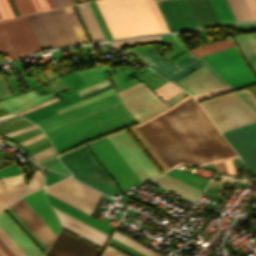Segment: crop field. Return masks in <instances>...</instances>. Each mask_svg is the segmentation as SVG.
<instances>
[{"label":"crop field","instance_id":"8a807250","mask_svg":"<svg viewBox=\"0 0 256 256\" xmlns=\"http://www.w3.org/2000/svg\"><path fill=\"white\" fill-rule=\"evenodd\" d=\"M137 127L169 169L236 156L189 96Z\"/></svg>","mask_w":256,"mask_h":256},{"label":"crop field","instance_id":"ac0d7876","mask_svg":"<svg viewBox=\"0 0 256 256\" xmlns=\"http://www.w3.org/2000/svg\"><path fill=\"white\" fill-rule=\"evenodd\" d=\"M136 123L116 94L37 123L61 153L85 141Z\"/></svg>","mask_w":256,"mask_h":256},{"label":"crop field","instance_id":"34b2d1b8","mask_svg":"<svg viewBox=\"0 0 256 256\" xmlns=\"http://www.w3.org/2000/svg\"><path fill=\"white\" fill-rule=\"evenodd\" d=\"M113 38L167 32L153 0L95 1Z\"/></svg>","mask_w":256,"mask_h":256},{"label":"crop field","instance_id":"412701ff","mask_svg":"<svg viewBox=\"0 0 256 256\" xmlns=\"http://www.w3.org/2000/svg\"><path fill=\"white\" fill-rule=\"evenodd\" d=\"M26 17L43 50L79 43L62 8Z\"/></svg>","mask_w":256,"mask_h":256},{"label":"crop field","instance_id":"f4fd0767","mask_svg":"<svg viewBox=\"0 0 256 256\" xmlns=\"http://www.w3.org/2000/svg\"><path fill=\"white\" fill-rule=\"evenodd\" d=\"M199 105L219 131L256 120V111L235 92Z\"/></svg>","mask_w":256,"mask_h":256},{"label":"crop field","instance_id":"dd49c442","mask_svg":"<svg viewBox=\"0 0 256 256\" xmlns=\"http://www.w3.org/2000/svg\"><path fill=\"white\" fill-rule=\"evenodd\" d=\"M59 158L74 175L73 177L109 195L119 192L118 188L107 176L85 146Z\"/></svg>","mask_w":256,"mask_h":256},{"label":"crop field","instance_id":"e52e79f7","mask_svg":"<svg viewBox=\"0 0 256 256\" xmlns=\"http://www.w3.org/2000/svg\"><path fill=\"white\" fill-rule=\"evenodd\" d=\"M42 50L26 17L0 21V53L11 59Z\"/></svg>","mask_w":256,"mask_h":256},{"label":"crop field","instance_id":"d8731c3e","mask_svg":"<svg viewBox=\"0 0 256 256\" xmlns=\"http://www.w3.org/2000/svg\"><path fill=\"white\" fill-rule=\"evenodd\" d=\"M200 58L206 60L235 90L256 83L236 47Z\"/></svg>","mask_w":256,"mask_h":256},{"label":"crop field","instance_id":"5a996713","mask_svg":"<svg viewBox=\"0 0 256 256\" xmlns=\"http://www.w3.org/2000/svg\"><path fill=\"white\" fill-rule=\"evenodd\" d=\"M87 146L122 190L140 183L107 137L87 144Z\"/></svg>","mask_w":256,"mask_h":256},{"label":"crop field","instance_id":"3316defc","mask_svg":"<svg viewBox=\"0 0 256 256\" xmlns=\"http://www.w3.org/2000/svg\"><path fill=\"white\" fill-rule=\"evenodd\" d=\"M118 95L139 123L169 108L141 82L118 92Z\"/></svg>","mask_w":256,"mask_h":256},{"label":"crop field","instance_id":"28ad6ade","mask_svg":"<svg viewBox=\"0 0 256 256\" xmlns=\"http://www.w3.org/2000/svg\"><path fill=\"white\" fill-rule=\"evenodd\" d=\"M45 192L90 215L102 195L71 178L45 188Z\"/></svg>","mask_w":256,"mask_h":256},{"label":"crop field","instance_id":"d1516ede","mask_svg":"<svg viewBox=\"0 0 256 256\" xmlns=\"http://www.w3.org/2000/svg\"><path fill=\"white\" fill-rule=\"evenodd\" d=\"M108 138L141 182L159 174L125 130Z\"/></svg>","mask_w":256,"mask_h":256},{"label":"crop field","instance_id":"22f410ed","mask_svg":"<svg viewBox=\"0 0 256 256\" xmlns=\"http://www.w3.org/2000/svg\"><path fill=\"white\" fill-rule=\"evenodd\" d=\"M222 134L256 176V122Z\"/></svg>","mask_w":256,"mask_h":256},{"label":"crop field","instance_id":"cbeb9de0","mask_svg":"<svg viewBox=\"0 0 256 256\" xmlns=\"http://www.w3.org/2000/svg\"><path fill=\"white\" fill-rule=\"evenodd\" d=\"M159 8L171 32L198 26L186 0L163 1Z\"/></svg>","mask_w":256,"mask_h":256},{"label":"crop field","instance_id":"5142ce71","mask_svg":"<svg viewBox=\"0 0 256 256\" xmlns=\"http://www.w3.org/2000/svg\"><path fill=\"white\" fill-rule=\"evenodd\" d=\"M174 84L190 92L192 96L227 86L206 63L191 75Z\"/></svg>","mask_w":256,"mask_h":256},{"label":"crop field","instance_id":"d9b57169","mask_svg":"<svg viewBox=\"0 0 256 256\" xmlns=\"http://www.w3.org/2000/svg\"><path fill=\"white\" fill-rule=\"evenodd\" d=\"M192 56L189 54L179 63L174 65V67L177 68L179 71H177L170 63H168L165 59L159 57L157 54L146 56L145 58L152 62L151 64H149L152 70L156 71L157 73L174 83L186 76L187 74L191 73L193 70H195L197 67L204 63L203 61L198 60L199 58L196 59L197 57L194 58L195 56Z\"/></svg>","mask_w":256,"mask_h":256},{"label":"crop field","instance_id":"733c2abd","mask_svg":"<svg viewBox=\"0 0 256 256\" xmlns=\"http://www.w3.org/2000/svg\"><path fill=\"white\" fill-rule=\"evenodd\" d=\"M100 250L60 231L47 256H98Z\"/></svg>","mask_w":256,"mask_h":256},{"label":"crop field","instance_id":"4a817a6b","mask_svg":"<svg viewBox=\"0 0 256 256\" xmlns=\"http://www.w3.org/2000/svg\"><path fill=\"white\" fill-rule=\"evenodd\" d=\"M61 80L65 85H67L73 89L84 85V83L80 80V78L76 74L63 77V78H61ZM59 98L61 99V101L53 103V104L43 107L41 109H38L36 111L27 113L25 115H22V117H25V118L37 123L47 117L56 115V112L54 110H56L58 108H61L66 105L84 100L74 90H71L69 92L59 95Z\"/></svg>","mask_w":256,"mask_h":256},{"label":"crop field","instance_id":"bc2a9ffb","mask_svg":"<svg viewBox=\"0 0 256 256\" xmlns=\"http://www.w3.org/2000/svg\"><path fill=\"white\" fill-rule=\"evenodd\" d=\"M53 210L59 218L63 228L103 247L108 236L90 228L89 226L71 218L70 216L54 208Z\"/></svg>","mask_w":256,"mask_h":256},{"label":"crop field","instance_id":"214f88e0","mask_svg":"<svg viewBox=\"0 0 256 256\" xmlns=\"http://www.w3.org/2000/svg\"><path fill=\"white\" fill-rule=\"evenodd\" d=\"M0 228L27 256H44L4 212L0 214Z\"/></svg>","mask_w":256,"mask_h":256},{"label":"crop field","instance_id":"92a150f3","mask_svg":"<svg viewBox=\"0 0 256 256\" xmlns=\"http://www.w3.org/2000/svg\"><path fill=\"white\" fill-rule=\"evenodd\" d=\"M28 205L39 215V217L51 228L57 235L60 225L53 210L48 205L43 189L23 197Z\"/></svg>","mask_w":256,"mask_h":256},{"label":"crop field","instance_id":"dafd665d","mask_svg":"<svg viewBox=\"0 0 256 256\" xmlns=\"http://www.w3.org/2000/svg\"><path fill=\"white\" fill-rule=\"evenodd\" d=\"M46 197H47V200L49 201L51 206H53V207L65 212V213L79 219L80 221H82V222H84V223H86V224H88V225H90V226L108 234V235H109L110 231L113 228V227H111V226H109V225H107V224H105V223H103V222H101V221H99V220H97V219H95V218H93V217H91V216H89V215H87V214H85V213H83V212H81V211H79V210H77V209H75V208H73V207H71V206L53 198V197H51V196H49V195H47V194H46Z\"/></svg>","mask_w":256,"mask_h":256},{"label":"crop field","instance_id":"00972430","mask_svg":"<svg viewBox=\"0 0 256 256\" xmlns=\"http://www.w3.org/2000/svg\"><path fill=\"white\" fill-rule=\"evenodd\" d=\"M52 97H54V94L52 93L45 96H37L33 91H31L18 97L5 99L1 101L0 104L8 110L16 113Z\"/></svg>","mask_w":256,"mask_h":256},{"label":"crop field","instance_id":"a9b5d70f","mask_svg":"<svg viewBox=\"0 0 256 256\" xmlns=\"http://www.w3.org/2000/svg\"><path fill=\"white\" fill-rule=\"evenodd\" d=\"M193 201H197L199 195L201 192L165 175V174H162L160 176H157L153 179H151ZM202 194V193H201Z\"/></svg>","mask_w":256,"mask_h":256},{"label":"crop field","instance_id":"4177f3b9","mask_svg":"<svg viewBox=\"0 0 256 256\" xmlns=\"http://www.w3.org/2000/svg\"><path fill=\"white\" fill-rule=\"evenodd\" d=\"M24 195H26L24 186L5 189L0 181V212Z\"/></svg>","mask_w":256,"mask_h":256},{"label":"crop field","instance_id":"730fd06b","mask_svg":"<svg viewBox=\"0 0 256 256\" xmlns=\"http://www.w3.org/2000/svg\"><path fill=\"white\" fill-rule=\"evenodd\" d=\"M247 62L256 60V34L234 36Z\"/></svg>","mask_w":256,"mask_h":256},{"label":"crop field","instance_id":"eef30255","mask_svg":"<svg viewBox=\"0 0 256 256\" xmlns=\"http://www.w3.org/2000/svg\"><path fill=\"white\" fill-rule=\"evenodd\" d=\"M167 174H169L181 181H184L202 191L204 190V188L208 182V179H205L203 177L193 175L190 173H186V172H183L180 170H176V169H173V170L167 172Z\"/></svg>","mask_w":256,"mask_h":256},{"label":"crop field","instance_id":"ae1a2a85","mask_svg":"<svg viewBox=\"0 0 256 256\" xmlns=\"http://www.w3.org/2000/svg\"><path fill=\"white\" fill-rule=\"evenodd\" d=\"M94 42L103 40L86 3L77 5Z\"/></svg>","mask_w":256,"mask_h":256},{"label":"crop field","instance_id":"d3111659","mask_svg":"<svg viewBox=\"0 0 256 256\" xmlns=\"http://www.w3.org/2000/svg\"><path fill=\"white\" fill-rule=\"evenodd\" d=\"M234 43L232 41V39H228V40H224V41H220V42H216V43H212V44H205L199 48L190 50L188 52L200 57V56H204L210 53H214L220 50H224L230 47H234Z\"/></svg>","mask_w":256,"mask_h":256},{"label":"crop field","instance_id":"750c4746","mask_svg":"<svg viewBox=\"0 0 256 256\" xmlns=\"http://www.w3.org/2000/svg\"><path fill=\"white\" fill-rule=\"evenodd\" d=\"M237 22L254 20L245 0H227Z\"/></svg>","mask_w":256,"mask_h":256},{"label":"crop field","instance_id":"bd1437ed","mask_svg":"<svg viewBox=\"0 0 256 256\" xmlns=\"http://www.w3.org/2000/svg\"><path fill=\"white\" fill-rule=\"evenodd\" d=\"M210 2L221 24L235 21L226 0H210Z\"/></svg>","mask_w":256,"mask_h":256},{"label":"crop field","instance_id":"1d83c4d3","mask_svg":"<svg viewBox=\"0 0 256 256\" xmlns=\"http://www.w3.org/2000/svg\"><path fill=\"white\" fill-rule=\"evenodd\" d=\"M112 238H114V239H116V240H118V241H120V242L138 250V251H140L141 253H143L147 256H161V255L157 254L156 252L144 247L143 245L127 238L126 236H124V235H122V234H120L116 231H115Z\"/></svg>","mask_w":256,"mask_h":256},{"label":"crop field","instance_id":"120bbe31","mask_svg":"<svg viewBox=\"0 0 256 256\" xmlns=\"http://www.w3.org/2000/svg\"><path fill=\"white\" fill-rule=\"evenodd\" d=\"M81 43L88 42L71 6L64 8Z\"/></svg>","mask_w":256,"mask_h":256},{"label":"crop field","instance_id":"d32e631a","mask_svg":"<svg viewBox=\"0 0 256 256\" xmlns=\"http://www.w3.org/2000/svg\"><path fill=\"white\" fill-rule=\"evenodd\" d=\"M159 39H160V36L147 37V38H136V39H126V40L112 42V44L114 46H116L117 48L121 49L126 46H131V45L140 44V43L158 42Z\"/></svg>","mask_w":256,"mask_h":256},{"label":"crop field","instance_id":"5866460e","mask_svg":"<svg viewBox=\"0 0 256 256\" xmlns=\"http://www.w3.org/2000/svg\"><path fill=\"white\" fill-rule=\"evenodd\" d=\"M154 91L165 101L182 90L168 82Z\"/></svg>","mask_w":256,"mask_h":256},{"label":"crop field","instance_id":"028f5c9d","mask_svg":"<svg viewBox=\"0 0 256 256\" xmlns=\"http://www.w3.org/2000/svg\"><path fill=\"white\" fill-rule=\"evenodd\" d=\"M20 15L37 12L31 0H13Z\"/></svg>","mask_w":256,"mask_h":256},{"label":"crop field","instance_id":"e1f06a70","mask_svg":"<svg viewBox=\"0 0 256 256\" xmlns=\"http://www.w3.org/2000/svg\"><path fill=\"white\" fill-rule=\"evenodd\" d=\"M0 239L13 252L15 256H26L1 229Z\"/></svg>","mask_w":256,"mask_h":256},{"label":"crop field","instance_id":"0bd39190","mask_svg":"<svg viewBox=\"0 0 256 256\" xmlns=\"http://www.w3.org/2000/svg\"><path fill=\"white\" fill-rule=\"evenodd\" d=\"M41 187H43L42 174L39 170H36L27 186L28 193H31Z\"/></svg>","mask_w":256,"mask_h":256},{"label":"crop field","instance_id":"b80d0937","mask_svg":"<svg viewBox=\"0 0 256 256\" xmlns=\"http://www.w3.org/2000/svg\"><path fill=\"white\" fill-rule=\"evenodd\" d=\"M112 93H114V90H113V89H111V90H109V91H107V92H105V93H102V94H100V95H98V96H96V97H93V98H91V99H89V100L86 99L87 101L78 102V103H75V104H73V105H70V106H67V107L58 109V110H56V112L59 114V113H62V112H65V111L74 109V108H76V107H79V106H81V105H84V104H86V103H89V102H91V101H94V100H96V99L102 98V97L107 96V95L112 94Z\"/></svg>","mask_w":256,"mask_h":256},{"label":"crop field","instance_id":"c035e120","mask_svg":"<svg viewBox=\"0 0 256 256\" xmlns=\"http://www.w3.org/2000/svg\"><path fill=\"white\" fill-rule=\"evenodd\" d=\"M216 171L235 175V169L230 160L221 161L213 164Z\"/></svg>","mask_w":256,"mask_h":256},{"label":"crop field","instance_id":"c21b1889","mask_svg":"<svg viewBox=\"0 0 256 256\" xmlns=\"http://www.w3.org/2000/svg\"><path fill=\"white\" fill-rule=\"evenodd\" d=\"M229 91H232V89L229 86H227V87L220 88V89H217V90H214L211 92H207V93H204L201 95L194 96V99L196 100V102H198V101H201V100L213 97V96H217V95L229 92Z\"/></svg>","mask_w":256,"mask_h":256},{"label":"crop field","instance_id":"03da06ac","mask_svg":"<svg viewBox=\"0 0 256 256\" xmlns=\"http://www.w3.org/2000/svg\"><path fill=\"white\" fill-rule=\"evenodd\" d=\"M22 175L16 164L0 169V178Z\"/></svg>","mask_w":256,"mask_h":256},{"label":"crop field","instance_id":"b54c1fbb","mask_svg":"<svg viewBox=\"0 0 256 256\" xmlns=\"http://www.w3.org/2000/svg\"><path fill=\"white\" fill-rule=\"evenodd\" d=\"M2 180H3L4 185H5L6 188L24 185L22 176L12 177V178H5V179H2Z\"/></svg>","mask_w":256,"mask_h":256},{"label":"crop field","instance_id":"5d738f31","mask_svg":"<svg viewBox=\"0 0 256 256\" xmlns=\"http://www.w3.org/2000/svg\"><path fill=\"white\" fill-rule=\"evenodd\" d=\"M0 12L4 19L14 16L8 5L7 0H0Z\"/></svg>","mask_w":256,"mask_h":256},{"label":"crop field","instance_id":"d23c7cc5","mask_svg":"<svg viewBox=\"0 0 256 256\" xmlns=\"http://www.w3.org/2000/svg\"><path fill=\"white\" fill-rule=\"evenodd\" d=\"M53 154H54V151H53L52 147H50V148H48L46 150H43V151H41L39 153H36V154L32 155V158L34 160L38 161L40 159H43V158H45L47 156H50V155H53Z\"/></svg>","mask_w":256,"mask_h":256},{"label":"crop field","instance_id":"425ffa30","mask_svg":"<svg viewBox=\"0 0 256 256\" xmlns=\"http://www.w3.org/2000/svg\"><path fill=\"white\" fill-rule=\"evenodd\" d=\"M35 128H38V127H37L36 125L32 124V125H30V126H28V127H25V128H22V129L13 131V132H9V133L3 134V136H5L6 138H8V137H11V136L20 134V133H24V132L33 130V129H35Z\"/></svg>","mask_w":256,"mask_h":256},{"label":"crop field","instance_id":"25e5ab78","mask_svg":"<svg viewBox=\"0 0 256 256\" xmlns=\"http://www.w3.org/2000/svg\"><path fill=\"white\" fill-rule=\"evenodd\" d=\"M238 93L256 109V99L250 93L246 90L239 91Z\"/></svg>","mask_w":256,"mask_h":256},{"label":"crop field","instance_id":"73cf0c24","mask_svg":"<svg viewBox=\"0 0 256 256\" xmlns=\"http://www.w3.org/2000/svg\"><path fill=\"white\" fill-rule=\"evenodd\" d=\"M106 85H109L108 80H106V81H104V82H102V83H99V84H97V85H94V86H92V87H90V88H87V89H84V90H82V91H79L78 93H79L80 95L87 94V93H89V92H91V91H93V90H95V89H98V88L103 87V86H106Z\"/></svg>","mask_w":256,"mask_h":256},{"label":"crop field","instance_id":"89e229c0","mask_svg":"<svg viewBox=\"0 0 256 256\" xmlns=\"http://www.w3.org/2000/svg\"><path fill=\"white\" fill-rule=\"evenodd\" d=\"M25 122H28L24 119H21V120H18V121H14V122H11V123H8V124H5V125H1L0 126V130L2 129H5V128H8V127H12V126H15V125H18V124H21V123H25ZM29 123V122H28ZM26 124V123H25ZM23 125V124H21ZM21 125H18V126H21ZM18 126H15V127H18ZM15 127H12V128H15ZM12 128H9V129H12ZM9 129H5V130H2L0 132H3V131H6V130H9Z\"/></svg>","mask_w":256,"mask_h":256},{"label":"crop field","instance_id":"1f2cbd36","mask_svg":"<svg viewBox=\"0 0 256 256\" xmlns=\"http://www.w3.org/2000/svg\"><path fill=\"white\" fill-rule=\"evenodd\" d=\"M43 137H45V136H44L43 133H41V134H38V135H36V136H33V137H31V138H29V139H27V140H25V141L19 142V144H20L22 147H24V146H26V145H28V144H30V143H33V142H35V141H37V140H39V139H41V138H43Z\"/></svg>","mask_w":256,"mask_h":256},{"label":"crop field","instance_id":"dbb93151","mask_svg":"<svg viewBox=\"0 0 256 256\" xmlns=\"http://www.w3.org/2000/svg\"><path fill=\"white\" fill-rule=\"evenodd\" d=\"M188 94H186L185 92H180L177 95H175L174 97L170 98L169 100L165 101L169 106L174 104L175 102H177L178 100L186 97ZM171 107V106H170Z\"/></svg>","mask_w":256,"mask_h":256},{"label":"crop field","instance_id":"0fb4a251","mask_svg":"<svg viewBox=\"0 0 256 256\" xmlns=\"http://www.w3.org/2000/svg\"><path fill=\"white\" fill-rule=\"evenodd\" d=\"M57 100H59V99H58L57 97H55V98H53V99H51V100H48V101H46V102H43V103H41V104H39V105H36V106H34V107H31V108H29V109L23 110V111L18 112V113H16V114L21 115V114L26 113V112H28V111H31V110H33V109H36V108H39V107H41V106L47 105V104H49V103L55 102V101H57Z\"/></svg>","mask_w":256,"mask_h":256},{"label":"crop field","instance_id":"1d79db26","mask_svg":"<svg viewBox=\"0 0 256 256\" xmlns=\"http://www.w3.org/2000/svg\"><path fill=\"white\" fill-rule=\"evenodd\" d=\"M111 88H112L111 85L106 86V87H103V88H100V89H98V90H96V91H94V92H91V93H89V94L83 96V98H84L85 100H86V99H89V98H91V97H93V96H95V95H97V94H99V93H101V92H104V91H106V90H109V89H111Z\"/></svg>","mask_w":256,"mask_h":256},{"label":"crop field","instance_id":"9d1cf04e","mask_svg":"<svg viewBox=\"0 0 256 256\" xmlns=\"http://www.w3.org/2000/svg\"><path fill=\"white\" fill-rule=\"evenodd\" d=\"M104 252H106V253H108V254H110L112 256H127V255L121 253L120 251H118V250H116V249H114V248H112V247H110L108 245H107V247H106Z\"/></svg>","mask_w":256,"mask_h":256},{"label":"crop field","instance_id":"447ae74e","mask_svg":"<svg viewBox=\"0 0 256 256\" xmlns=\"http://www.w3.org/2000/svg\"><path fill=\"white\" fill-rule=\"evenodd\" d=\"M58 181V175L47 172L46 186Z\"/></svg>","mask_w":256,"mask_h":256},{"label":"crop field","instance_id":"0765c3eb","mask_svg":"<svg viewBox=\"0 0 256 256\" xmlns=\"http://www.w3.org/2000/svg\"><path fill=\"white\" fill-rule=\"evenodd\" d=\"M42 11L50 9L46 0H37Z\"/></svg>","mask_w":256,"mask_h":256},{"label":"crop field","instance_id":"db79e9e6","mask_svg":"<svg viewBox=\"0 0 256 256\" xmlns=\"http://www.w3.org/2000/svg\"><path fill=\"white\" fill-rule=\"evenodd\" d=\"M0 248L7 256H14L11 251L0 241Z\"/></svg>","mask_w":256,"mask_h":256},{"label":"crop field","instance_id":"7b73153f","mask_svg":"<svg viewBox=\"0 0 256 256\" xmlns=\"http://www.w3.org/2000/svg\"><path fill=\"white\" fill-rule=\"evenodd\" d=\"M185 53V50L182 51L180 54H178L177 56L173 57L172 59L168 60L170 63L173 62L174 60H176L178 57H180L182 54Z\"/></svg>","mask_w":256,"mask_h":256},{"label":"crop field","instance_id":"78b8030e","mask_svg":"<svg viewBox=\"0 0 256 256\" xmlns=\"http://www.w3.org/2000/svg\"><path fill=\"white\" fill-rule=\"evenodd\" d=\"M13 116H15V115L9 114V115H5V116H1L0 120L7 119V118H10V117H13Z\"/></svg>","mask_w":256,"mask_h":256},{"label":"crop field","instance_id":"0f1d7ab4","mask_svg":"<svg viewBox=\"0 0 256 256\" xmlns=\"http://www.w3.org/2000/svg\"><path fill=\"white\" fill-rule=\"evenodd\" d=\"M47 2H48V4H49V6H50L51 9H52V8H55V5H54V3H53V0H47Z\"/></svg>","mask_w":256,"mask_h":256},{"label":"crop field","instance_id":"e1d0b9f6","mask_svg":"<svg viewBox=\"0 0 256 256\" xmlns=\"http://www.w3.org/2000/svg\"><path fill=\"white\" fill-rule=\"evenodd\" d=\"M32 1H33L34 5H35L37 11L40 12L41 10H40V8H39V6H38L36 0H32Z\"/></svg>","mask_w":256,"mask_h":256},{"label":"crop field","instance_id":"ae633e8c","mask_svg":"<svg viewBox=\"0 0 256 256\" xmlns=\"http://www.w3.org/2000/svg\"><path fill=\"white\" fill-rule=\"evenodd\" d=\"M250 66L253 68V70H254L255 73H256V62L250 63Z\"/></svg>","mask_w":256,"mask_h":256},{"label":"crop field","instance_id":"d14b1444","mask_svg":"<svg viewBox=\"0 0 256 256\" xmlns=\"http://www.w3.org/2000/svg\"><path fill=\"white\" fill-rule=\"evenodd\" d=\"M7 111V110H6ZM6 111H4V112H0V116L1 115H5V114H9L8 112H6Z\"/></svg>","mask_w":256,"mask_h":256},{"label":"crop field","instance_id":"c39391a2","mask_svg":"<svg viewBox=\"0 0 256 256\" xmlns=\"http://www.w3.org/2000/svg\"><path fill=\"white\" fill-rule=\"evenodd\" d=\"M0 256H6V255L0 250Z\"/></svg>","mask_w":256,"mask_h":256},{"label":"crop field","instance_id":"ade564c9","mask_svg":"<svg viewBox=\"0 0 256 256\" xmlns=\"http://www.w3.org/2000/svg\"><path fill=\"white\" fill-rule=\"evenodd\" d=\"M102 256H110V255H108V254H106V253H103V255Z\"/></svg>","mask_w":256,"mask_h":256},{"label":"crop field","instance_id":"c5b07064","mask_svg":"<svg viewBox=\"0 0 256 256\" xmlns=\"http://www.w3.org/2000/svg\"><path fill=\"white\" fill-rule=\"evenodd\" d=\"M0 18L3 19L2 16H1V14H0Z\"/></svg>","mask_w":256,"mask_h":256}]
</instances>
